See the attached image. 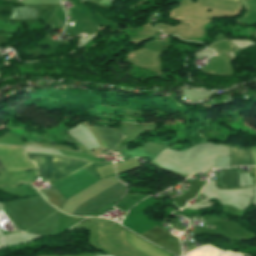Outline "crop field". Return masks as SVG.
<instances>
[{
	"instance_id": "ac0d7876",
	"label": "crop field",
	"mask_w": 256,
	"mask_h": 256,
	"mask_svg": "<svg viewBox=\"0 0 256 256\" xmlns=\"http://www.w3.org/2000/svg\"><path fill=\"white\" fill-rule=\"evenodd\" d=\"M125 191L126 186L118 183L82 204L73 212L72 215L82 216L91 214L96 210L120 198L122 195H124Z\"/></svg>"
},
{
	"instance_id": "22f410ed",
	"label": "crop field",
	"mask_w": 256,
	"mask_h": 256,
	"mask_svg": "<svg viewBox=\"0 0 256 256\" xmlns=\"http://www.w3.org/2000/svg\"><path fill=\"white\" fill-rule=\"evenodd\" d=\"M204 73H206L207 74V72H206V68H203V69H201Z\"/></svg>"
},
{
	"instance_id": "e52e79f7",
	"label": "crop field",
	"mask_w": 256,
	"mask_h": 256,
	"mask_svg": "<svg viewBox=\"0 0 256 256\" xmlns=\"http://www.w3.org/2000/svg\"><path fill=\"white\" fill-rule=\"evenodd\" d=\"M222 187H236L239 183V171H224L219 173Z\"/></svg>"
},
{
	"instance_id": "dd49c442",
	"label": "crop field",
	"mask_w": 256,
	"mask_h": 256,
	"mask_svg": "<svg viewBox=\"0 0 256 256\" xmlns=\"http://www.w3.org/2000/svg\"><path fill=\"white\" fill-rule=\"evenodd\" d=\"M246 165L254 166L251 150L231 148L230 167Z\"/></svg>"
},
{
	"instance_id": "5a996713",
	"label": "crop field",
	"mask_w": 256,
	"mask_h": 256,
	"mask_svg": "<svg viewBox=\"0 0 256 256\" xmlns=\"http://www.w3.org/2000/svg\"><path fill=\"white\" fill-rule=\"evenodd\" d=\"M221 251L210 244L198 247L183 256H218Z\"/></svg>"
},
{
	"instance_id": "8a807250",
	"label": "crop field",
	"mask_w": 256,
	"mask_h": 256,
	"mask_svg": "<svg viewBox=\"0 0 256 256\" xmlns=\"http://www.w3.org/2000/svg\"><path fill=\"white\" fill-rule=\"evenodd\" d=\"M26 156L36 165L38 171L37 175L50 180L52 157L35 154H26ZM89 164L88 162L53 157V170L56 169L57 172L56 180L64 178Z\"/></svg>"
},
{
	"instance_id": "f4fd0767",
	"label": "crop field",
	"mask_w": 256,
	"mask_h": 256,
	"mask_svg": "<svg viewBox=\"0 0 256 256\" xmlns=\"http://www.w3.org/2000/svg\"><path fill=\"white\" fill-rule=\"evenodd\" d=\"M96 128L100 133L103 141L105 142L107 148L111 151H114L118 143L125 138V136L115 128L100 126H96Z\"/></svg>"
},
{
	"instance_id": "3316defc",
	"label": "crop field",
	"mask_w": 256,
	"mask_h": 256,
	"mask_svg": "<svg viewBox=\"0 0 256 256\" xmlns=\"http://www.w3.org/2000/svg\"><path fill=\"white\" fill-rule=\"evenodd\" d=\"M219 256H242V254L226 252V253H221ZM243 256H244V255H243ZM245 256H246V255H245Z\"/></svg>"
},
{
	"instance_id": "d1516ede",
	"label": "crop field",
	"mask_w": 256,
	"mask_h": 256,
	"mask_svg": "<svg viewBox=\"0 0 256 256\" xmlns=\"http://www.w3.org/2000/svg\"><path fill=\"white\" fill-rule=\"evenodd\" d=\"M5 171V169L2 167V165L0 164V172Z\"/></svg>"
},
{
	"instance_id": "34b2d1b8",
	"label": "crop field",
	"mask_w": 256,
	"mask_h": 256,
	"mask_svg": "<svg viewBox=\"0 0 256 256\" xmlns=\"http://www.w3.org/2000/svg\"><path fill=\"white\" fill-rule=\"evenodd\" d=\"M142 236L158 244L159 246L181 256V249L178 239L163 231L160 227L154 226L153 228L143 233Z\"/></svg>"
},
{
	"instance_id": "d8731c3e",
	"label": "crop field",
	"mask_w": 256,
	"mask_h": 256,
	"mask_svg": "<svg viewBox=\"0 0 256 256\" xmlns=\"http://www.w3.org/2000/svg\"><path fill=\"white\" fill-rule=\"evenodd\" d=\"M41 192L44 195V197L54 206H56L59 210L66 201L57 189H45L42 190Z\"/></svg>"
},
{
	"instance_id": "412701ff",
	"label": "crop field",
	"mask_w": 256,
	"mask_h": 256,
	"mask_svg": "<svg viewBox=\"0 0 256 256\" xmlns=\"http://www.w3.org/2000/svg\"><path fill=\"white\" fill-rule=\"evenodd\" d=\"M123 229H124V233H125L128 243L131 246L144 252L148 256H174V255L166 252L165 250L155 246L154 244L146 241L145 239H143L142 237L133 233L132 231H130L124 227H123Z\"/></svg>"
},
{
	"instance_id": "28ad6ade",
	"label": "crop field",
	"mask_w": 256,
	"mask_h": 256,
	"mask_svg": "<svg viewBox=\"0 0 256 256\" xmlns=\"http://www.w3.org/2000/svg\"><path fill=\"white\" fill-rule=\"evenodd\" d=\"M252 149H253V155H254V162L256 166V147H252Z\"/></svg>"
}]
</instances>
